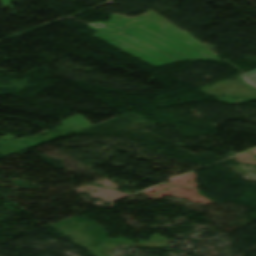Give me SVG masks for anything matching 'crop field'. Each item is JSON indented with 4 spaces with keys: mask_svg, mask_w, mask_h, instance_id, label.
<instances>
[{
    "mask_svg": "<svg viewBox=\"0 0 256 256\" xmlns=\"http://www.w3.org/2000/svg\"><path fill=\"white\" fill-rule=\"evenodd\" d=\"M248 84L256 87V69L240 75Z\"/></svg>",
    "mask_w": 256,
    "mask_h": 256,
    "instance_id": "1",
    "label": "crop field"
}]
</instances>
